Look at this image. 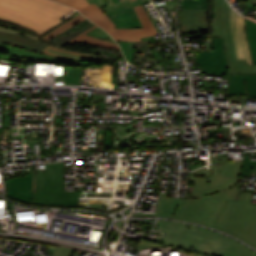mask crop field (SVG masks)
I'll return each mask as SVG.
<instances>
[{"label": "crop field", "mask_w": 256, "mask_h": 256, "mask_svg": "<svg viewBox=\"0 0 256 256\" xmlns=\"http://www.w3.org/2000/svg\"><path fill=\"white\" fill-rule=\"evenodd\" d=\"M207 256H209V255H207Z\"/></svg>", "instance_id": "obj_31"}, {"label": "crop field", "mask_w": 256, "mask_h": 256, "mask_svg": "<svg viewBox=\"0 0 256 256\" xmlns=\"http://www.w3.org/2000/svg\"><path fill=\"white\" fill-rule=\"evenodd\" d=\"M142 25V29H115L112 37L115 40L141 41V37L157 35L151 20L144 11L142 5L134 7Z\"/></svg>", "instance_id": "obj_9"}, {"label": "crop field", "mask_w": 256, "mask_h": 256, "mask_svg": "<svg viewBox=\"0 0 256 256\" xmlns=\"http://www.w3.org/2000/svg\"><path fill=\"white\" fill-rule=\"evenodd\" d=\"M43 53L48 55H55L60 58H66L70 60H79L85 62H97L99 57L94 55L82 54L75 51H70L62 48H58L55 46L47 45L43 51Z\"/></svg>", "instance_id": "obj_17"}, {"label": "crop field", "mask_w": 256, "mask_h": 256, "mask_svg": "<svg viewBox=\"0 0 256 256\" xmlns=\"http://www.w3.org/2000/svg\"><path fill=\"white\" fill-rule=\"evenodd\" d=\"M113 2L115 3V2H118V0H113Z\"/></svg>", "instance_id": "obj_30"}, {"label": "crop field", "mask_w": 256, "mask_h": 256, "mask_svg": "<svg viewBox=\"0 0 256 256\" xmlns=\"http://www.w3.org/2000/svg\"><path fill=\"white\" fill-rule=\"evenodd\" d=\"M84 16L92 20L97 25L101 26L112 35L115 25L109 20V18L102 12V10L95 4H91L80 10Z\"/></svg>", "instance_id": "obj_16"}, {"label": "crop field", "mask_w": 256, "mask_h": 256, "mask_svg": "<svg viewBox=\"0 0 256 256\" xmlns=\"http://www.w3.org/2000/svg\"><path fill=\"white\" fill-rule=\"evenodd\" d=\"M196 170L195 174L190 173V181L195 182L192 196H202L216 191L228 189L237 181L234 178H218L220 167H210Z\"/></svg>", "instance_id": "obj_7"}, {"label": "crop field", "mask_w": 256, "mask_h": 256, "mask_svg": "<svg viewBox=\"0 0 256 256\" xmlns=\"http://www.w3.org/2000/svg\"><path fill=\"white\" fill-rule=\"evenodd\" d=\"M0 51H4L9 53V58L14 61L18 62H26V60H33V61H43L51 64H58L60 62L64 63H71L80 65L81 68L77 67H63L62 76H58L57 78H65V84H76L79 85L81 77L84 78L85 62H78V61H70L65 59H60L54 56H48L44 54H39L35 52L26 51L23 49H19L10 45H1L0 44Z\"/></svg>", "instance_id": "obj_6"}, {"label": "crop field", "mask_w": 256, "mask_h": 256, "mask_svg": "<svg viewBox=\"0 0 256 256\" xmlns=\"http://www.w3.org/2000/svg\"><path fill=\"white\" fill-rule=\"evenodd\" d=\"M109 5L102 8L103 12H110V11H114V10H118V9H122V6L120 4V2L113 4L112 0H107Z\"/></svg>", "instance_id": "obj_26"}, {"label": "crop field", "mask_w": 256, "mask_h": 256, "mask_svg": "<svg viewBox=\"0 0 256 256\" xmlns=\"http://www.w3.org/2000/svg\"><path fill=\"white\" fill-rule=\"evenodd\" d=\"M222 165L219 177H238L242 161H228V157L220 158Z\"/></svg>", "instance_id": "obj_18"}, {"label": "crop field", "mask_w": 256, "mask_h": 256, "mask_svg": "<svg viewBox=\"0 0 256 256\" xmlns=\"http://www.w3.org/2000/svg\"><path fill=\"white\" fill-rule=\"evenodd\" d=\"M236 189L196 200L183 201L160 194L155 214L133 213L134 216H162L208 225L227 232L256 248V204H250L253 192H244L233 200Z\"/></svg>", "instance_id": "obj_1"}, {"label": "crop field", "mask_w": 256, "mask_h": 256, "mask_svg": "<svg viewBox=\"0 0 256 256\" xmlns=\"http://www.w3.org/2000/svg\"><path fill=\"white\" fill-rule=\"evenodd\" d=\"M0 29H1V30H5V31H10V32L18 33V34H22V33L18 32V31H16V30H11V29H9V28H5V27H1V26H0ZM22 35H25V34H22ZM25 36H28V37H31V38H34V39L38 40V38L32 37L31 35H25Z\"/></svg>", "instance_id": "obj_28"}, {"label": "crop field", "mask_w": 256, "mask_h": 256, "mask_svg": "<svg viewBox=\"0 0 256 256\" xmlns=\"http://www.w3.org/2000/svg\"><path fill=\"white\" fill-rule=\"evenodd\" d=\"M230 19L237 59L247 58L248 65H250L252 61L246 40L244 18L231 9Z\"/></svg>", "instance_id": "obj_11"}, {"label": "crop field", "mask_w": 256, "mask_h": 256, "mask_svg": "<svg viewBox=\"0 0 256 256\" xmlns=\"http://www.w3.org/2000/svg\"><path fill=\"white\" fill-rule=\"evenodd\" d=\"M245 24L252 61L256 64V23L245 18Z\"/></svg>", "instance_id": "obj_19"}, {"label": "crop field", "mask_w": 256, "mask_h": 256, "mask_svg": "<svg viewBox=\"0 0 256 256\" xmlns=\"http://www.w3.org/2000/svg\"><path fill=\"white\" fill-rule=\"evenodd\" d=\"M229 96L256 97V75H231L228 78Z\"/></svg>", "instance_id": "obj_13"}, {"label": "crop field", "mask_w": 256, "mask_h": 256, "mask_svg": "<svg viewBox=\"0 0 256 256\" xmlns=\"http://www.w3.org/2000/svg\"><path fill=\"white\" fill-rule=\"evenodd\" d=\"M207 10L181 9V34L207 30Z\"/></svg>", "instance_id": "obj_12"}, {"label": "crop field", "mask_w": 256, "mask_h": 256, "mask_svg": "<svg viewBox=\"0 0 256 256\" xmlns=\"http://www.w3.org/2000/svg\"><path fill=\"white\" fill-rule=\"evenodd\" d=\"M87 34L94 37V38H98V39H101V40H104L105 38H110L113 42H115L104 30H102L99 27L92 30L91 32H89Z\"/></svg>", "instance_id": "obj_23"}, {"label": "crop field", "mask_w": 256, "mask_h": 256, "mask_svg": "<svg viewBox=\"0 0 256 256\" xmlns=\"http://www.w3.org/2000/svg\"><path fill=\"white\" fill-rule=\"evenodd\" d=\"M106 15L116 25L115 28H141L142 27L132 7L106 13Z\"/></svg>", "instance_id": "obj_14"}, {"label": "crop field", "mask_w": 256, "mask_h": 256, "mask_svg": "<svg viewBox=\"0 0 256 256\" xmlns=\"http://www.w3.org/2000/svg\"><path fill=\"white\" fill-rule=\"evenodd\" d=\"M57 1H59L63 4H66V5H69L76 10L88 5L86 0H57Z\"/></svg>", "instance_id": "obj_22"}, {"label": "crop field", "mask_w": 256, "mask_h": 256, "mask_svg": "<svg viewBox=\"0 0 256 256\" xmlns=\"http://www.w3.org/2000/svg\"><path fill=\"white\" fill-rule=\"evenodd\" d=\"M74 250L59 246L52 256H72Z\"/></svg>", "instance_id": "obj_24"}, {"label": "crop field", "mask_w": 256, "mask_h": 256, "mask_svg": "<svg viewBox=\"0 0 256 256\" xmlns=\"http://www.w3.org/2000/svg\"><path fill=\"white\" fill-rule=\"evenodd\" d=\"M89 4L95 2L98 6L106 5V0H87Z\"/></svg>", "instance_id": "obj_27"}, {"label": "crop field", "mask_w": 256, "mask_h": 256, "mask_svg": "<svg viewBox=\"0 0 256 256\" xmlns=\"http://www.w3.org/2000/svg\"><path fill=\"white\" fill-rule=\"evenodd\" d=\"M208 0H184L182 8L207 9ZM230 6L225 0H215V18H213V36H223L228 75L256 74V65L247 66L246 59L236 60L229 20Z\"/></svg>", "instance_id": "obj_4"}, {"label": "crop field", "mask_w": 256, "mask_h": 256, "mask_svg": "<svg viewBox=\"0 0 256 256\" xmlns=\"http://www.w3.org/2000/svg\"><path fill=\"white\" fill-rule=\"evenodd\" d=\"M213 52H198L197 64L201 73L227 75V65L221 38H212Z\"/></svg>", "instance_id": "obj_8"}, {"label": "crop field", "mask_w": 256, "mask_h": 256, "mask_svg": "<svg viewBox=\"0 0 256 256\" xmlns=\"http://www.w3.org/2000/svg\"><path fill=\"white\" fill-rule=\"evenodd\" d=\"M34 204L76 206L79 192H64L63 162L46 164V173L35 174Z\"/></svg>", "instance_id": "obj_5"}, {"label": "crop field", "mask_w": 256, "mask_h": 256, "mask_svg": "<svg viewBox=\"0 0 256 256\" xmlns=\"http://www.w3.org/2000/svg\"><path fill=\"white\" fill-rule=\"evenodd\" d=\"M72 10L50 0H0V19L26 26L40 35Z\"/></svg>", "instance_id": "obj_3"}, {"label": "crop field", "mask_w": 256, "mask_h": 256, "mask_svg": "<svg viewBox=\"0 0 256 256\" xmlns=\"http://www.w3.org/2000/svg\"><path fill=\"white\" fill-rule=\"evenodd\" d=\"M248 1H250V2H252V3H254V4H256V0H248Z\"/></svg>", "instance_id": "obj_29"}, {"label": "crop field", "mask_w": 256, "mask_h": 256, "mask_svg": "<svg viewBox=\"0 0 256 256\" xmlns=\"http://www.w3.org/2000/svg\"><path fill=\"white\" fill-rule=\"evenodd\" d=\"M150 0H121L123 8L149 3Z\"/></svg>", "instance_id": "obj_25"}, {"label": "crop field", "mask_w": 256, "mask_h": 256, "mask_svg": "<svg viewBox=\"0 0 256 256\" xmlns=\"http://www.w3.org/2000/svg\"><path fill=\"white\" fill-rule=\"evenodd\" d=\"M96 27H97L96 25L91 27L90 29L86 30L85 32L81 33L80 35H78L77 37H75L74 39L69 41V43L70 42H76V41H83V42L99 45V46H102V47H108V48H112V49H120L119 46L114 44V43L97 40V39L91 38L87 35H84L85 33L91 31L92 29H94Z\"/></svg>", "instance_id": "obj_20"}, {"label": "crop field", "mask_w": 256, "mask_h": 256, "mask_svg": "<svg viewBox=\"0 0 256 256\" xmlns=\"http://www.w3.org/2000/svg\"><path fill=\"white\" fill-rule=\"evenodd\" d=\"M157 224V230L165 232L162 240L166 245L141 240L137 251L149 247H166L168 244L186 250L193 247L195 252L213 256H256L250 248L216 232L164 220H159Z\"/></svg>", "instance_id": "obj_2"}, {"label": "crop field", "mask_w": 256, "mask_h": 256, "mask_svg": "<svg viewBox=\"0 0 256 256\" xmlns=\"http://www.w3.org/2000/svg\"><path fill=\"white\" fill-rule=\"evenodd\" d=\"M6 193L8 196L31 203L33 191H35L34 180L30 173L21 177L5 179Z\"/></svg>", "instance_id": "obj_10"}, {"label": "crop field", "mask_w": 256, "mask_h": 256, "mask_svg": "<svg viewBox=\"0 0 256 256\" xmlns=\"http://www.w3.org/2000/svg\"><path fill=\"white\" fill-rule=\"evenodd\" d=\"M84 20H86V18H84L83 16H81L80 14L72 19L69 20V22L63 24L62 26H60L59 28L52 30L51 32H49L47 35L44 36V40H51V38H53L54 36L58 35L59 33L69 29L71 26H74L75 24H79L81 22H83Z\"/></svg>", "instance_id": "obj_21"}, {"label": "crop field", "mask_w": 256, "mask_h": 256, "mask_svg": "<svg viewBox=\"0 0 256 256\" xmlns=\"http://www.w3.org/2000/svg\"><path fill=\"white\" fill-rule=\"evenodd\" d=\"M0 43L42 53L46 44L35 42L20 35L0 31Z\"/></svg>", "instance_id": "obj_15"}]
</instances>
